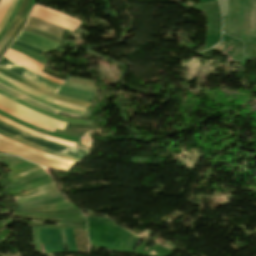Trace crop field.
<instances>
[{"instance_id": "obj_1", "label": "crop field", "mask_w": 256, "mask_h": 256, "mask_svg": "<svg viewBox=\"0 0 256 256\" xmlns=\"http://www.w3.org/2000/svg\"><path fill=\"white\" fill-rule=\"evenodd\" d=\"M0 67L55 94L89 103H91L96 96V93L75 90L62 85L54 84L4 58H2L0 61Z\"/></svg>"}, {"instance_id": "obj_2", "label": "crop field", "mask_w": 256, "mask_h": 256, "mask_svg": "<svg viewBox=\"0 0 256 256\" xmlns=\"http://www.w3.org/2000/svg\"><path fill=\"white\" fill-rule=\"evenodd\" d=\"M0 130L5 131L14 136H17L19 138L25 139L27 141H30L32 143L38 144L40 146L52 149L54 151H57V152H60V153H63V154L69 155V156L76 157L79 159L83 158L84 155L86 154V152H84V151L76 150L73 148L65 147L62 145H58V144H55L52 142H48V141L39 139V138L34 137L28 133H25L19 129H16L10 125H7L1 121H0Z\"/></svg>"}, {"instance_id": "obj_3", "label": "crop field", "mask_w": 256, "mask_h": 256, "mask_svg": "<svg viewBox=\"0 0 256 256\" xmlns=\"http://www.w3.org/2000/svg\"><path fill=\"white\" fill-rule=\"evenodd\" d=\"M0 105L21 115V116L32 119V120L37 121L46 126H50V127H54V128L63 130L64 126L66 124L65 122H61V121L55 120L53 118L43 116L36 112H33V111H31L23 106H20L2 96H0Z\"/></svg>"}, {"instance_id": "obj_4", "label": "crop field", "mask_w": 256, "mask_h": 256, "mask_svg": "<svg viewBox=\"0 0 256 256\" xmlns=\"http://www.w3.org/2000/svg\"><path fill=\"white\" fill-rule=\"evenodd\" d=\"M0 152L14 153L22 158H25L29 161L34 162L36 164H40V165H44V166H48V167H52V168H56V169H60V170H64V171L68 170L71 167V166L65 165L63 163L52 161V160L40 157L38 155H35L31 152H28L24 149H21L17 146L10 144V143H7L1 139H0Z\"/></svg>"}, {"instance_id": "obj_5", "label": "crop field", "mask_w": 256, "mask_h": 256, "mask_svg": "<svg viewBox=\"0 0 256 256\" xmlns=\"http://www.w3.org/2000/svg\"><path fill=\"white\" fill-rule=\"evenodd\" d=\"M31 16L49 21L72 31L81 24L79 21L40 6H34Z\"/></svg>"}, {"instance_id": "obj_6", "label": "crop field", "mask_w": 256, "mask_h": 256, "mask_svg": "<svg viewBox=\"0 0 256 256\" xmlns=\"http://www.w3.org/2000/svg\"><path fill=\"white\" fill-rule=\"evenodd\" d=\"M27 0H24L22 3V6L17 14L18 17L21 16ZM15 17L14 21L11 24V27H9L8 31L6 32L5 36L3 37L2 41L0 42V58L4 54V52L7 50L9 45L13 42V40L17 37L19 34L22 26L24 25L26 19Z\"/></svg>"}, {"instance_id": "obj_7", "label": "crop field", "mask_w": 256, "mask_h": 256, "mask_svg": "<svg viewBox=\"0 0 256 256\" xmlns=\"http://www.w3.org/2000/svg\"><path fill=\"white\" fill-rule=\"evenodd\" d=\"M17 40H19V41H21L25 44H28V45L37 47L39 49H42L44 51L57 49L60 46L56 43L50 42L48 40L42 39L40 37L31 35V34H28V33L23 32V31L18 36Z\"/></svg>"}, {"instance_id": "obj_8", "label": "crop field", "mask_w": 256, "mask_h": 256, "mask_svg": "<svg viewBox=\"0 0 256 256\" xmlns=\"http://www.w3.org/2000/svg\"><path fill=\"white\" fill-rule=\"evenodd\" d=\"M26 25L39 29L45 33L57 36L61 39L63 38L64 32L66 31V29L64 28H61L59 26H56L43 20L33 18L31 16L29 17Z\"/></svg>"}, {"instance_id": "obj_9", "label": "crop field", "mask_w": 256, "mask_h": 256, "mask_svg": "<svg viewBox=\"0 0 256 256\" xmlns=\"http://www.w3.org/2000/svg\"><path fill=\"white\" fill-rule=\"evenodd\" d=\"M56 192H58V189L56 188L54 183H52V184H49L44 187L33 189V190H31L27 193H24L22 195L15 196L14 198H15L16 203L18 204V203L26 202V201L33 200L36 198H40V197H43L46 195H50V194H53Z\"/></svg>"}, {"instance_id": "obj_10", "label": "crop field", "mask_w": 256, "mask_h": 256, "mask_svg": "<svg viewBox=\"0 0 256 256\" xmlns=\"http://www.w3.org/2000/svg\"><path fill=\"white\" fill-rule=\"evenodd\" d=\"M0 73H2L4 75H6V76H8V77L18 81V82H20V83H22V84H24V85H26V86L34 89V90H36V91L46 95V96H48L50 98L58 99V100H61V101H64V102H68V103H71V104H75V105H80V106H85V107L89 106V103H85V102L73 100V99H70V98H66V97H62V96L51 94V93H49V92H47V91H45V90H43V89H41V88H39L37 86H34V85H32V84H30V83H28V82H26V81L16 77V76H14L13 74H11V73H9V72L1 69V68H0Z\"/></svg>"}, {"instance_id": "obj_11", "label": "crop field", "mask_w": 256, "mask_h": 256, "mask_svg": "<svg viewBox=\"0 0 256 256\" xmlns=\"http://www.w3.org/2000/svg\"><path fill=\"white\" fill-rule=\"evenodd\" d=\"M0 78L9 82V83H11V84H13V85H15V86H17V87H19V88H21V89H23V90H25V91H27V92H29V93H31V94H33V95H35V96H37V97H39V98H41V99H43V100L49 101V102L54 103L56 105H60V106L68 107V108H73V109H78V110H84V111L87 110V108H85V107L75 106V105H71V104H67V103H63V102H59V101L47 98V97H45V96H43V95L25 87V86L15 82L14 80H12V79H10V78L2 75V74H0Z\"/></svg>"}, {"instance_id": "obj_12", "label": "crop field", "mask_w": 256, "mask_h": 256, "mask_svg": "<svg viewBox=\"0 0 256 256\" xmlns=\"http://www.w3.org/2000/svg\"><path fill=\"white\" fill-rule=\"evenodd\" d=\"M0 94L5 96V97H7V98H9V99H11V100H13V101H15V102H17V103H19V104H21V105H24V106L30 108V109H32V110H34L36 112L43 113V114H45L47 116L53 117V118L61 120V121L71 122V123H79V124H91L88 121L75 120V119H67V118H63V117H60V116L53 115V114H50L48 112L42 111V110H40L38 108H35V107H33V106H31V105H29V104H27V103H25V102L15 98V97H13V96H11V95H9V94L1 91V90H0Z\"/></svg>"}, {"instance_id": "obj_13", "label": "crop field", "mask_w": 256, "mask_h": 256, "mask_svg": "<svg viewBox=\"0 0 256 256\" xmlns=\"http://www.w3.org/2000/svg\"><path fill=\"white\" fill-rule=\"evenodd\" d=\"M0 120L6 122V123H8V124H10V125H12V126H14V127H16V128H19V129H21V130H23V131H26V132H28V133H30V134H33V135H35V136H38V137H40V138H42V139L49 140V141H53V142H57V143L64 144V145H67V146H71V147H73V148H74V146H75L74 143L67 142V141H63V140H59V139H55V138H51V137H49V136H46V135H43V134H40V133L31 131V130H29V129H27V128H24V127H22V126H20V125H17V124H15V123H13V122H11V121L5 119V118L2 117V116H0Z\"/></svg>"}, {"instance_id": "obj_14", "label": "crop field", "mask_w": 256, "mask_h": 256, "mask_svg": "<svg viewBox=\"0 0 256 256\" xmlns=\"http://www.w3.org/2000/svg\"><path fill=\"white\" fill-rule=\"evenodd\" d=\"M0 138L5 140V141H7V142H10V143H12L14 145H17V146H19L21 148H24V149H26L28 151H31V152H33L35 154L41 155L43 157L50 158V159H53V160H57V161H60V162H64V163L71 164V165H73L75 163V162H72V161H68V160H65V159L54 157V156L49 155V154L44 153V152L37 151V150H35L33 148H30V147H28L26 145H23V144H21L19 142H16V141H14L12 139H9V138L5 137V136L0 135Z\"/></svg>"}, {"instance_id": "obj_15", "label": "crop field", "mask_w": 256, "mask_h": 256, "mask_svg": "<svg viewBox=\"0 0 256 256\" xmlns=\"http://www.w3.org/2000/svg\"><path fill=\"white\" fill-rule=\"evenodd\" d=\"M0 83H2V84H4V85H6V86H8V87H10V88H12V89L18 91V92H20V93H22V94H24V95H26V96H28V97H30V98H32V99L38 101V102H41V103H43V104H45V105H47V106H51V107H54V108H56V109L63 110V111H67V112H72V113H76V114L85 115V113L76 112V111H71V110H69V109L62 108V107H58V106H56V105H54V104L48 103V102H46V101H43V100H41V99H39V98H37V97H35V96H32V95H30V94H28V93H26V92H24V91H22V90H20V89H18V88H16V87H14V86H12V85L6 83L5 81H3V80H1V79H0Z\"/></svg>"}, {"instance_id": "obj_16", "label": "crop field", "mask_w": 256, "mask_h": 256, "mask_svg": "<svg viewBox=\"0 0 256 256\" xmlns=\"http://www.w3.org/2000/svg\"><path fill=\"white\" fill-rule=\"evenodd\" d=\"M0 134L5 135V136H7V137H9V138H12V139H14V140H16V141H19V142H21V143H23V144H26V145H28V146H30V147H33V148H35V149H37V150L44 151V152H47V153H49V154H52V155H54V156L62 157V158H65V159H68V160H72V161H75V162L79 161V159H75V158H72V157H69V156H65V155H62V154H59V153H55V152H52V151L43 149V148H41V147L35 146V145L31 144V143H28V142H26V141H24V140H21V139L17 138V137H14V136H12V135H9V134H7V133H5V132L0 131Z\"/></svg>"}, {"instance_id": "obj_17", "label": "crop field", "mask_w": 256, "mask_h": 256, "mask_svg": "<svg viewBox=\"0 0 256 256\" xmlns=\"http://www.w3.org/2000/svg\"><path fill=\"white\" fill-rule=\"evenodd\" d=\"M0 89L5 91V92H7V93H9V94H11V95H13V96H16V97L22 99V100H24V101H26V102H28V103H30V104L40 108V109H42V110H46V111H49V112L54 113V114H56V112H57L56 110H52V109H50V108H48L46 106L40 105V104H38L36 102H33V101H31V100H29V99H27V98H25V97L15 93V92L11 91V90H9V89L1 86V85H0Z\"/></svg>"}, {"instance_id": "obj_18", "label": "crop field", "mask_w": 256, "mask_h": 256, "mask_svg": "<svg viewBox=\"0 0 256 256\" xmlns=\"http://www.w3.org/2000/svg\"><path fill=\"white\" fill-rule=\"evenodd\" d=\"M0 110L3 111V112H5V113H7V114H9V115H11V116H14V117H16V118H19V119H21V120H23V121H25V122H27V123H29V124H31V125L37 126V127L41 128V129H45V130H49V131H53V132H54V130H55L54 128L46 127V126L40 125V124H38V123H36V122H34V121H31V120H29V119H26V118H23V117H21V116H18V115H16L15 113H13V112H11V111H9V110H7V109L1 107V106H0Z\"/></svg>"}, {"instance_id": "obj_19", "label": "crop field", "mask_w": 256, "mask_h": 256, "mask_svg": "<svg viewBox=\"0 0 256 256\" xmlns=\"http://www.w3.org/2000/svg\"><path fill=\"white\" fill-rule=\"evenodd\" d=\"M23 30H24V31L31 32V33H33V34H35V35H38V36L43 37V38H45V39L51 40V41L56 42V43H58V44L61 45V41H62V40H59V39H57V38H55V37H52V36H50V35H48V34H45V33L41 32V31H39V30L33 29V28H31V27H27V26H25Z\"/></svg>"}, {"instance_id": "obj_20", "label": "crop field", "mask_w": 256, "mask_h": 256, "mask_svg": "<svg viewBox=\"0 0 256 256\" xmlns=\"http://www.w3.org/2000/svg\"><path fill=\"white\" fill-rule=\"evenodd\" d=\"M21 3H22V0L17 1V4L15 6V9H14L13 13L11 14L10 18L8 19L7 23L5 24L4 28L2 29V31L0 33V41H1L2 37L4 36L5 32L7 31L8 27L10 26L13 18L16 16Z\"/></svg>"}, {"instance_id": "obj_21", "label": "crop field", "mask_w": 256, "mask_h": 256, "mask_svg": "<svg viewBox=\"0 0 256 256\" xmlns=\"http://www.w3.org/2000/svg\"><path fill=\"white\" fill-rule=\"evenodd\" d=\"M17 0H12L11 3H10V6L5 14V16L3 17L2 21L0 22V31L1 29L3 28L4 24L6 23L7 19L9 18L14 6H15V3H16Z\"/></svg>"}, {"instance_id": "obj_22", "label": "crop field", "mask_w": 256, "mask_h": 256, "mask_svg": "<svg viewBox=\"0 0 256 256\" xmlns=\"http://www.w3.org/2000/svg\"><path fill=\"white\" fill-rule=\"evenodd\" d=\"M14 45H17V46H19V47H22V48H24V49H27V50H29V51H32V52H34V53H36V54H38V55H40V56H41L42 53H43V51L34 49V48H32V47H30V46H28V45H25V44H23V43H21V42H19V41H17V40H15Z\"/></svg>"}, {"instance_id": "obj_23", "label": "crop field", "mask_w": 256, "mask_h": 256, "mask_svg": "<svg viewBox=\"0 0 256 256\" xmlns=\"http://www.w3.org/2000/svg\"><path fill=\"white\" fill-rule=\"evenodd\" d=\"M11 0H0V21Z\"/></svg>"}, {"instance_id": "obj_24", "label": "crop field", "mask_w": 256, "mask_h": 256, "mask_svg": "<svg viewBox=\"0 0 256 256\" xmlns=\"http://www.w3.org/2000/svg\"><path fill=\"white\" fill-rule=\"evenodd\" d=\"M222 15L228 16V0H219Z\"/></svg>"}, {"instance_id": "obj_25", "label": "crop field", "mask_w": 256, "mask_h": 256, "mask_svg": "<svg viewBox=\"0 0 256 256\" xmlns=\"http://www.w3.org/2000/svg\"><path fill=\"white\" fill-rule=\"evenodd\" d=\"M38 169H41V168L38 167V168L31 169V170H29V171H27V172H25V173H22V174H20V175H18V176H16V177H13V178L9 179V181H11V180H13V179H15V178H18V177H20V176H22V175L28 174V173H30V172L36 171V170H38Z\"/></svg>"}]
</instances>
